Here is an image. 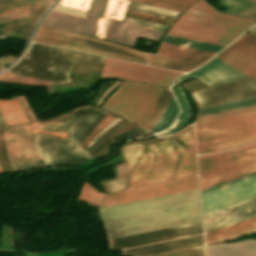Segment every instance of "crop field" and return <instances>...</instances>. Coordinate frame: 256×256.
<instances>
[{"instance_id":"obj_1","label":"crop field","mask_w":256,"mask_h":256,"mask_svg":"<svg viewBox=\"0 0 256 256\" xmlns=\"http://www.w3.org/2000/svg\"><path fill=\"white\" fill-rule=\"evenodd\" d=\"M101 210L109 239L202 221L198 189Z\"/></svg>"},{"instance_id":"obj_2","label":"crop field","mask_w":256,"mask_h":256,"mask_svg":"<svg viewBox=\"0 0 256 256\" xmlns=\"http://www.w3.org/2000/svg\"><path fill=\"white\" fill-rule=\"evenodd\" d=\"M121 153L130 188L197 175L192 126L172 137L130 142Z\"/></svg>"},{"instance_id":"obj_3","label":"crop field","mask_w":256,"mask_h":256,"mask_svg":"<svg viewBox=\"0 0 256 256\" xmlns=\"http://www.w3.org/2000/svg\"><path fill=\"white\" fill-rule=\"evenodd\" d=\"M254 22L219 13L204 0H198L183 13L167 34L224 46Z\"/></svg>"},{"instance_id":"obj_4","label":"crop field","mask_w":256,"mask_h":256,"mask_svg":"<svg viewBox=\"0 0 256 256\" xmlns=\"http://www.w3.org/2000/svg\"><path fill=\"white\" fill-rule=\"evenodd\" d=\"M102 59L103 57L100 56L32 43L22 59L7 72L64 82L70 81L68 74L75 62L102 61Z\"/></svg>"},{"instance_id":"obj_5","label":"crop field","mask_w":256,"mask_h":256,"mask_svg":"<svg viewBox=\"0 0 256 256\" xmlns=\"http://www.w3.org/2000/svg\"><path fill=\"white\" fill-rule=\"evenodd\" d=\"M197 153L237 148L256 140V112L195 124Z\"/></svg>"},{"instance_id":"obj_6","label":"crop field","mask_w":256,"mask_h":256,"mask_svg":"<svg viewBox=\"0 0 256 256\" xmlns=\"http://www.w3.org/2000/svg\"><path fill=\"white\" fill-rule=\"evenodd\" d=\"M201 190L256 172V143L198 156Z\"/></svg>"},{"instance_id":"obj_7","label":"crop field","mask_w":256,"mask_h":256,"mask_svg":"<svg viewBox=\"0 0 256 256\" xmlns=\"http://www.w3.org/2000/svg\"><path fill=\"white\" fill-rule=\"evenodd\" d=\"M34 41L148 64L152 53L133 50L95 38L40 26Z\"/></svg>"},{"instance_id":"obj_8","label":"crop field","mask_w":256,"mask_h":256,"mask_svg":"<svg viewBox=\"0 0 256 256\" xmlns=\"http://www.w3.org/2000/svg\"><path fill=\"white\" fill-rule=\"evenodd\" d=\"M161 92V89L123 82L103 107L140 123Z\"/></svg>"},{"instance_id":"obj_9","label":"crop field","mask_w":256,"mask_h":256,"mask_svg":"<svg viewBox=\"0 0 256 256\" xmlns=\"http://www.w3.org/2000/svg\"><path fill=\"white\" fill-rule=\"evenodd\" d=\"M6 153L13 171L42 167L33 145L31 123L3 129Z\"/></svg>"},{"instance_id":"obj_10","label":"crop field","mask_w":256,"mask_h":256,"mask_svg":"<svg viewBox=\"0 0 256 256\" xmlns=\"http://www.w3.org/2000/svg\"><path fill=\"white\" fill-rule=\"evenodd\" d=\"M129 123L130 122L126 121L125 123L122 124V126L121 125L120 126L123 127ZM121 127L100 137L86 151L67 140H61L59 138H53V137L46 136V135H38L37 146H38L39 152L41 154V157L44 161L45 166L81 164V163L91 159L88 152H90L91 149L96 144H98L105 137H107L111 133L117 131ZM51 141L53 142V145L56 149L59 161L54 153V149H53V145H52Z\"/></svg>"},{"instance_id":"obj_11","label":"crop field","mask_w":256,"mask_h":256,"mask_svg":"<svg viewBox=\"0 0 256 256\" xmlns=\"http://www.w3.org/2000/svg\"><path fill=\"white\" fill-rule=\"evenodd\" d=\"M180 73L105 58L101 77H122L164 87Z\"/></svg>"},{"instance_id":"obj_12","label":"crop field","mask_w":256,"mask_h":256,"mask_svg":"<svg viewBox=\"0 0 256 256\" xmlns=\"http://www.w3.org/2000/svg\"><path fill=\"white\" fill-rule=\"evenodd\" d=\"M213 55L215 54L162 42L150 65L188 72Z\"/></svg>"},{"instance_id":"obj_13","label":"crop field","mask_w":256,"mask_h":256,"mask_svg":"<svg viewBox=\"0 0 256 256\" xmlns=\"http://www.w3.org/2000/svg\"><path fill=\"white\" fill-rule=\"evenodd\" d=\"M204 215L256 198V177L201 195Z\"/></svg>"},{"instance_id":"obj_14","label":"crop field","mask_w":256,"mask_h":256,"mask_svg":"<svg viewBox=\"0 0 256 256\" xmlns=\"http://www.w3.org/2000/svg\"><path fill=\"white\" fill-rule=\"evenodd\" d=\"M199 107L236 101L256 96V76L193 93Z\"/></svg>"},{"instance_id":"obj_15","label":"crop field","mask_w":256,"mask_h":256,"mask_svg":"<svg viewBox=\"0 0 256 256\" xmlns=\"http://www.w3.org/2000/svg\"><path fill=\"white\" fill-rule=\"evenodd\" d=\"M197 188L196 177L128 191L107 194L102 206L149 198Z\"/></svg>"},{"instance_id":"obj_16","label":"crop field","mask_w":256,"mask_h":256,"mask_svg":"<svg viewBox=\"0 0 256 256\" xmlns=\"http://www.w3.org/2000/svg\"><path fill=\"white\" fill-rule=\"evenodd\" d=\"M203 233L202 222L109 240L110 248H130Z\"/></svg>"},{"instance_id":"obj_17","label":"crop field","mask_w":256,"mask_h":256,"mask_svg":"<svg viewBox=\"0 0 256 256\" xmlns=\"http://www.w3.org/2000/svg\"><path fill=\"white\" fill-rule=\"evenodd\" d=\"M217 57L246 76H253L256 73V37L243 35Z\"/></svg>"},{"instance_id":"obj_18","label":"crop field","mask_w":256,"mask_h":256,"mask_svg":"<svg viewBox=\"0 0 256 256\" xmlns=\"http://www.w3.org/2000/svg\"><path fill=\"white\" fill-rule=\"evenodd\" d=\"M190 77H196L198 80L210 85L215 86L243 78H247L245 75L232 68L219 58H214L205 66L200 69L180 78L174 87H176L177 83L188 79Z\"/></svg>"},{"instance_id":"obj_19","label":"crop field","mask_w":256,"mask_h":256,"mask_svg":"<svg viewBox=\"0 0 256 256\" xmlns=\"http://www.w3.org/2000/svg\"><path fill=\"white\" fill-rule=\"evenodd\" d=\"M163 32L124 23L118 20L107 19L105 39L124 43L132 46L136 37H144L158 41Z\"/></svg>"},{"instance_id":"obj_20","label":"crop field","mask_w":256,"mask_h":256,"mask_svg":"<svg viewBox=\"0 0 256 256\" xmlns=\"http://www.w3.org/2000/svg\"><path fill=\"white\" fill-rule=\"evenodd\" d=\"M107 112L98 109L94 106H82L76 108L67 122H78L76 127L72 129L68 140L81 145L85 137L92 130V128L105 116Z\"/></svg>"},{"instance_id":"obj_21","label":"crop field","mask_w":256,"mask_h":256,"mask_svg":"<svg viewBox=\"0 0 256 256\" xmlns=\"http://www.w3.org/2000/svg\"><path fill=\"white\" fill-rule=\"evenodd\" d=\"M254 215H256V199L205 215V232Z\"/></svg>"},{"instance_id":"obj_22","label":"crop field","mask_w":256,"mask_h":256,"mask_svg":"<svg viewBox=\"0 0 256 256\" xmlns=\"http://www.w3.org/2000/svg\"><path fill=\"white\" fill-rule=\"evenodd\" d=\"M97 21L98 19L88 16L86 19H83L51 11L42 25L95 36Z\"/></svg>"},{"instance_id":"obj_23","label":"crop field","mask_w":256,"mask_h":256,"mask_svg":"<svg viewBox=\"0 0 256 256\" xmlns=\"http://www.w3.org/2000/svg\"><path fill=\"white\" fill-rule=\"evenodd\" d=\"M204 244L203 235L122 250L120 254L142 256Z\"/></svg>"},{"instance_id":"obj_24","label":"crop field","mask_w":256,"mask_h":256,"mask_svg":"<svg viewBox=\"0 0 256 256\" xmlns=\"http://www.w3.org/2000/svg\"><path fill=\"white\" fill-rule=\"evenodd\" d=\"M45 6L18 0H0V15L35 22L44 12Z\"/></svg>"},{"instance_id":"obj_25","label":"crop field","mask_w":256,"mask_h":256,"mask_svg":"<svg viewBox=\"0 0 256 256\" xmlns=\"http://www.w3.org/2000/svg\"><path fill=\"white\" fill-rule=\"evenodd\" d=\"M208 256H256V240L207 246Z\"/></svg>"},{"instance_id":"obj_26","label":"crop field","mask_w":256,"mask_h":256,"mask_svg":"<svg viewBox=\"0 0 256 256\" xmlns=\"http://www.w3.org/2000/svg\"><path fill=\"white\" fill-rule=\"evenodd\" d=\"M128 11L144 14V15H149L169 21H173V19L180 13L129 1L127 5Z\"/></svg>"},{"instance_id":"obj_27","label":"crop field","mask_w":256,"mask_h":256,"mask_svg":"<svg viewBox=\"0 0 256 256\" xmlns=\"http://www.w3.org/2000/svg\"><path fill=\"white\" fill-rule=\"evenodd\" d=\"M0 109L8 125L27 122L17 99L0 100Z\"/></svg>"},{"instance_id":"obj_28","label":"crop field","mask_w":256,"mask_h":256,"mask_svg":"<svg viewBox=\"0 0 256 256\" xmlns=\"http://www.w3.org/2000/svg\"><path fill=\"white\" fill-rule=\"evenodd\" d=\"M171 96L172 94L169 90H163L140 125L150 130Z\"/></svg>"},{"instance_id":"obj_29","label":"crop field","mask_w":256,"mask_h":256,"mask_svg":"<svg viewBox=\"0 0 256 256\" xmlns=\"http://www.w3.org/2000/svg\"><path fill=\"white\" fill-rule=\"evenodd\" d=\"M178 112L179 109L172 97L168 104L166 105V107L164 108V110L162 111L157 121L155 122V124L153 125V127L151 128V131L155 133L167 128L171 124V122L173 121Z\"/></svg>"},{"instance_id":"obj_30","label":"crop field","mask_w":256,"mask_h":256,"mask_svg":"<svg viewBox=\"0 0 256 256\" xmlns=\"http://www.w3.org/2000/svg\"><path fill=\"white\" fill-rule=\"evenodd\" d=\"M163 41L168 42V43L182 45V46H187V47H191V48H196V49H200V50L210 51V52H214V53H217L219 50H221L223 48L221 46H216V45H211V44H207V43L182 39V38L168 36V35H166L164 37Z\"/></svg>"},{"instance_id":"obj_31","label":"crop field","mask_w":256,"mask_h":256,"mask_svg":"<svg viewBox=\"0 0 256 256\" xmlns=\"http://www.w3.org/2000/svg\"><path fill=\"white\" fill-rule=\"evenodd\" d=\"M253 226H256V217L246 220L244 222H241V223L208 233V234H206V242L216 239V238H219V237H222V236H225V235H228V234H232V233L253 227Z\"/></svg>"},{"instance_id":"obj_32","label":"crop field","mask_w":256,"mask_h":256,"mask_svg":"<svg viewBox=\"0 0 256 256\" xmlns=\"http://www.w3.org/2000/svg\"><path fill=\"white\" fill-rule=\"evenodd\" d=\"M254 104H256V97L250 98V99H245V100H240V101H236V102L216 105V106H212V107L202 108V109H200L201 113L198 116L215 113V112H220V111H225V110H230V109H235V108H240V107H245V106L254 105Z\"/></svg>"},{"instance_id":"obj_33","label":"crop field","mask_w":256,"mask_h":256,"mask_svg":"<svg viewBox=\"0 0 256 256\" xmlns=\"http://www.w3.org/2000/svg\"><path fill=\"white\" fill-rule=\"evenodd\" d=\"M254 2L256 0H219L218 4L227 8L226 13L237 15Z\"/></svg>"},{"instance_id":"obj_34","label":"crop field","mask_w":256,"mask_h":256,"mask_svg":"<svg viewBox=\"0 0 256 256\" xmlns=\"http://www.w3.org/2000/svg\"><path fill=\"white\" fill-rule=\"evenodd\" d=\"M174 93H175V95H176V97H177V99H178V101H179L183 111H182V113L178 117L180 119L179 125L175 129H173L170 132H168L169 134H171L173 132H176L179 129H181L183 127V125L185 124V122L189 119V116H190L188 102H187V100H186V98H185V96H184L180 86L174 90Z\"/></svg>"},{"instance_id":"obj_35","label":"crop field","mask_w":256,"mask_h":256,"mask_svg":"<svg viewBox=\"0 0 256 256\" xmlns=\"http://www.w3.org/2000/svg\"><path fill=\"white\" fill-rule=\"evenodd\" d=\"M134 1L152 4V5L174 9L178 11H184L186 8L192 5L191 3H187L179 0H134Z\"/></svg>"},{"instance_id":"obj_36","label":"crop field","mask_w":256,"mask_h":256,"mask_svg":"<svg viewBox=\"0 0 256 256\" xmlns=\"http://www.w3.org/2000/svg\"><path fill=\"white\" fill-rule=\"evenodd\" d=\"M126 2V0H109L104 17L122 20Z\"/></svg>"},{"instance_id":"obj_37","label":"crop field","mask_w":256,"mask_h":256,"mask_svg":"<svg viewBox=\"0 0 256 256\" xmlns=\"http://www.w3.org/2000/svg\"><path fill=\"white\" fill-rule=\"evenodd\" d=\"M147 256H205L204 245Z\"/></svg>"},{"instance_id":"obj_38","label":"crop field","mask_w":256,"mask_h":256,"mask_svg":"<svg viewBox=\"0 0 256 256\" xmlns=\"http://www.w3.org/2000/svg\"><path fill=\"white\" fill-rule=\"evenodd\" d=\"M0 80L15 82V83H23V84H30V85H39V84H48V83H55L50 81H44L24 76H18L13 74L4 73L0 76Z\"/></svg>"},{"instance_id":"obj_39","label":"crop field","mask_w":256,"mask_h":256,"mask_svg":"<svg viewBox=\"0 0 256 256\" xmlns=\"http://www.w3.org/2000/svg\"><path fill=\"white\" fill-rule=\"evenodd\" d=\"M251 111H256V105L250 106V107H245V108H240V109H235V110H230V111H225V112H220V113H215V114H210V115H205V116H200V117H198L197 122L217 119V118H221V117H226V116H231V115H236V114H241V113H246V112H251Z\"/></svg>"},{"instance_id":"obj_40","label":"crop field","mask_w":256,"mask_h":256,"mask_svg":"<svg viewBox=\"0 0 256 256\" xmlns=\"http://www.w3.org/2000/svg\"><path fill=\"white\" fill-rule=\"evenodd\" d=\"M108 0H91L88 15L103 17Z\"/></svg>"},{"instance_id":"obj_41","label":"crop field","mask_w":256,"mask_h":256,"mask_svg":"<svg viewBox=\"0 0 256 256\" xmlns=\"http://www.w3.org/2000/svg\"><path fill=\"white\" fill-rule=\"evenodd\" d=\"M116 117L112 115H107L103 121L95 128V130L87 137V139L84 141L81 147H85L88 142L100 131L102 130L105 126H107L109 123H111Z\"/></svg>"},{"instance_id":"obj_42","label":"crop field","mask_w":256,"mask_h":256,"mask_svg":"<svg viewBox=\"0 0 256 256\" xmlns=\"http://www.w3.org/2000/svg\"><path fill=\"white\" fill-rule=\"evenodd\" d=\"M252 232H256V227H253V228H250V229H247V230H244V231L232 234V235H228V236H225V237L207 242L206 244L209 245V244L225 242V241H228V240L236 239V238H238L242 235L249 234V233H252Z\"/></svg>"},{"instance_id":"obj_43","label":"crop field","mask_w":256,"mask_h":256,"mask_svg":"<svg viewBox=\"0 0 256 256\" xmlns=\"http://www.w3.org/2000/svg\"><path fill=\"white\" fill-rule=\"evenodd\" d=\"M74 125L75 124H70V123L45 124V125H40V129L60 130L68 134L70 129Z\"/></svg>"},{"instance_id":"obj_44","label":"crop field","mask_w":256,"mask_h":256,"mask_svg":"<svg viewBox=\"0 0 256 256\" xmlns=\"http://www.w3.org/2000/svg\"><path fill=\"white\" fill-rule=\"evenodd\" d=\"M148 133H150V132H148L147 130H145L144 128H142L141 126L138 125L134 129H132V130L126 132V133H123V134H121V135H119V136H117V137H115L113 139H111V141L113 143H115V142H117V141H119V140H121V139H123V138H125L127 136H130V135H146Z\"/></svg>"},{"instance_id":"obj_45","label":"crop field","mask_w":256,"mask_h":256,"mask_svg":"<svg viewBox=\"0 0 256 256\" xmlns=\"http://www.w3.org/2000/svg\"><path fill=\"white\" fill-rule=\"evenodd\" d=\"M60 4L86 11L89 0H62Z\"/></svg>"},{"instance_id":"obj_46","label":"crop field","mask_w":256,"mask_h":256,"mask_svg":"<svg viewBox=\"0 0 256 256\" xmlns=\"http://www.w3.org/2000/svg\"><path fill=\"white\" fill-rule=\"evenodd\" d=\"M32 132L46 133V134H50V135H54V136H58V137H62V138H66V136H67V134H64L61 132H50V131L39 130V122L32 123Z\"/></svg>"},{"instance_id":"obj_47","label":"crop field","mask_w":256,"mask_h":256,"mask_svg":"<svg viewBox=\"0 0 256 256\" xmlns=\"http://www.w3.org/2000/svg\"><path fill=\"white\" fill-rule=\"evenodd\" d=\"M255 175H256V173H253V174H250V175H247V176H244V177H241V178H238V179H235V180H232V181H229V182H226V183H223V184H220V185L202 190L201 194L205 193V192H208V191H211V190H214V189H217V188H220V187H223V186H226V185H229V184H232V183H235V182H238V181H241V180H244V179H247V178H250V177H253Z\"/></svg>"},{"instance_id":"obj_48","label":"crop field","mask_w":256,"mask_h":256,"mask_svg":"<svg viewBox=\"0 0 256 256\" xmlns=\"http://www.w3.org/2000/svg\"><path fill=\"white\" fill-rule=\"evenodd\" d=\"M57 7H58V8H62V9H66V10H71V11H75V12L83 13V14H85V13H86V12H84V11H80V10H76V9H72V8H68V7H64V6H60V5H58ZM54 10H55V11H59V12H63V13H67V14H72V15H76V16L84 17V18H85V16H84V15H80V14L72 13V12H69V11H65V10H61V9H57V8H55Z\"/></svg>"},{"instance_id":"obj_49","label":"crop field","mask_w":256,"mask_h":256,"mask_svg":"<svg viewBox=\"0 0 256 256\" xmlns=\"http://www.w3.org/2000/svg\"><path fill=\"white\" fill-rule=\"evenodd\" d=\"M117 178L127 176L125 162L116 166Z\"/></svg>"},{"instance_id":"obj_50","label":"crop field","mask_w":256,"mask_h":256,"mask_svg":"<svg viewBox=\"0 0 256 256\" xmlns=\"http://www.w3.org/2000/svg\"><path fill=\"white\" fill-rule=\"evenodd\" d=\"M105 21L106 19H99L96 36L104 38Z\"/></svg>"},{"instance_id":"obj_51","label":"crop field","mask_w":256,"mask_h":256,"mask_svg":"<svg viewBox=\"0 0 256 256\" xmlns=\"http://www.w3.org/2000/svg\"><path fill=\"white\" fill-rule=\"evenodd\" d=\"M254 11H256V3L252 6H250L249 8H247L246 10H244L242 13H240L239 16L247 17Z\"/></svg>"},{"instance_id":"obj_52","label":"crop field","mask_w":256,"mask_h":256,"mask_svg":"<svg viewBox=\"0 0 256 256\" xmlns=\"http://www.w3.org/2000/svg\"><path fill=\"white\" fill-rule=\"evenodd\" d=\"M23 1H27V2H32V3L48 6L54 0H23Z\"/></svg>"},{"instance_id":"obj_53","label":"crop field","mask_w":256,"mask_h":256,"mask_svg":"<svg viewBox=\"0 0 256 256\" xmlns=\"http://www.w3.org/2000/svg\"><path fill=\"white\" fill-rule=\"evenodd\" d=\"M118 121H120V119H116L115 121H113L109 126H107L104 130H102L91 142L90 144L87 146V148L103 133L105 132L107 129H109L110 127H112L114 124H116Z\"/></svg>"},{"instance_id":"obj_54","label":"crop field","mask_w":256,"mask_h":256,"mask_svg":"<svg viewBox=\"0 0 256 256\" xmlns=\"http://www.w3.org/2000/svg\"><path fill=\"white\" fill-rule=\"evenodd\" d=\"M4 126H7L1 112H0V128L4 127Z\"/></svg>"},{"instance_id":"obj_55","label":"crop field","mask_w":256,"mask_h":256,"mask_svg":"<svg viewBox=\"0 0 256 256\" xmlns=\"http://www.w3.org/2000/svg\"><path fill=\"white\" fill-rule=\"evenodd\" d=\"M249 18H255V19H256V12H254L253 14H251V15L249 16Z\"/></svg>"},{"instance_id":"obj_56","label":"crop field","mask_w":256,"mask_h":256,"mask_svg":"<svg viewBox=\"0 0 256 256\" xmlns=\"http://www.w3.org/2000/svg\"><path fill=\"white\" fill-rule=\"evenodd\" d=\"M250 32L254 33L256 35V27L252 28L251 30H249Z\"/></svg>"},{"instance_id":"obj_57","label":"crop field","mask_w":256,"mask_h":256,"mask_svg":"<svg viewBox=\"0 0 256 256\" xmlns=\"http://www.w3.org/2000/svg\"><path fill=\"white\" fill-rule=\"evenodd\" d=\"M186 1H190V2H193V3H194L196 0H186Z\"/></svg>"},{"instance_id":"obj_58","label":"crop field","mask_w":256,"mask_h":256,"mask_svg":"<svg viewBox=\"0 0 256 256\" xmlns=\"http://www.w3.org/2000/svg\"><path fill=\"white\" fill-rule=\"evenodd\" d=\"M0 174H2V172H1V168H0Z\"/></svg>"}]
</instances>
